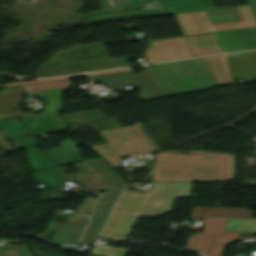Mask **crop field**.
Returning <instances> with one entry per match:
<instances>
[{
	"mask_svg": "<svg viewBox=\"0 0 256 256\" xmlns=\"http://www.w3.org/2000/svg\"><path fill=\"white\" fill-rule=\"evenodd\" d=\"M233 156L179 152L160 154L151 174L152 180H232Z\"/></svg>",
	"mask_w": 256,
	"mask_h": 256,
	"instance_id": "1",
	"label": "crop field"
},
{
	"mask_svg": "<svg viewBox=\"0 0 256 256\" xmlns=\"http://www.w3.org/2000/svg\"><path fill=\"white\" fill-rule=\"evenodd\" d=\"M73 165L80 171L74 173L75 180L81 182L82 178L86 179L83 187L97 191L106 190L81 241L82 244L94 243L112 205L121 192L124 179L117 175L101 158L86 160Z\"/></svg>",
	"mask_w": 256,
	"mask_h": 256,
	"instance_id": "2",
	"label": "crop field"
},
{
	"mask_svg": "<svg viewBox=\"0 0 256 256\" xmlns=\"http://www.w3.org/2000/svg\"><path fill=\"white\" fill-rule=\"evenodd\" d=\"M165 97L216 86L203 58L149 67Z\"/></svg>",
	"mask_w": 256,
	"mask_h": 256,
	"instance_id": "3",
	"label": "crop field"
},
{
	"mask_svg": "<svg viewBox=\"0 0 256 256\" xmlns=\"http://www.w3.org/2000/svg\"><path fill=\"white\" fill-rule=\"evenodd\" d=\"M175 15L184 36L256 26L248 5Z\"/></svg>",
	"mask_w": 256,
	"mask_h": 256,
	"instance_id": "4",
	"label": "crop field"
},
{
	"mask_svg": "<svg viewBox=\"0 0 256 256\" xmlns=\"http://www.w3.org/2000/svg\"><path fill=\"white\" fill-rule=\"evenodd\" d=\"M191 184L189 182H153L151 195L145 193L124 191L114 212L157 216L165 214L173 198L189 197ZM158 199H163L159 208L155 207Z\"/></svg>",
	"mask_w": 256,
	"mask_h": 256,
	"instance_id": "5",
	"label": "crop field"
},
{
	"mask_svg": "<svg viewBox=\"0 0 256 256\" xmlns=\"http://www.w3.org/2000/svg\"><path fill=\"white\" fill-rule=\"evenodd\" d=\"M223 52L214 33L151 41L148 63Z\"/></svg>",
	"mask_w": 256,
	"mask_h": 256,
	"instance_id": "6",
	"label": "crop field"
},
{
	"mask_svg": "<svg viewBox=\"0 0 256 256\" xmlns=\"http://www.w3.org/2000/svg\"><path fill=\"white\" fill-rule=\"evenodd\" d=\"M108 144L93 146L114 168L121 167L119 156L136 155L155 150L138 125L98 131Z\"/></svg>",
	"mask_w": 256,
	"mask_h": 256,
	"instance_id": "7",
	"label": "crop field"
},
{
	"mask_svg": "<svg viewBox=\"0 0 256 256\" xmlns=\"http://www.w3.org/2000/svg\"><path fill=\"white\" fill-rule=\"evenodd\" d=\"M227 219L204 218L205 225L203 233H195L190 237L187 250L221 256L224 246L239 241L241 232L224 231Z\"/></svg>",
	"mask_w": 256,
	"mask_h": 256,
	"instance_id": "8",
	"label": "crop field"
},
{
	"mask_svg": "<svg viewBox=\"0 0 256 256\" xmlns=\"http://www.w3.org/2000/svg\"><path fill=\"white\" fill-rule=\"evenodd\" d=\"M90 77L93 81L106 84L110 90L125 86H137L141 92L140 97L142 101L163 97L158 85L154 81L155 79L149 73L148 69L142 70V73L139 74L127 71Z\"/></svg>",
	"mask_w": 256,
	"mask_h": 256,
	"instance_id": "9",
	"label": "crop field"
},
{
	"mask_svg": "<svg viewBox=\"0 0 256 256\" xmlns=\"http://www.w3.org/2000/svg\"><path fill=\"white\" fill-rule=\"evenodd\" d=\"M0 129L17 149L24 148L27 151L32 171L57 165L34 147L37 145L34 137L27 140L22 139L29 132L16 119L0 121Z\"/></svg>",
	"mask_w": 256,
	"mask_h": 256,
	"instance_id": "10",
	"label": "crop field"
},
{
	"mask_svg": "<svg viewBox=\"0 0 256 256\" xmlns=\"http://www.w3.org/2000/svg\"><path fill=\"white\" fill-rule=\"evenodd\" d=\"M58 62L60 66L49 68L47 71L39 73V77L116 67L110 57L75 62L71 55H65L59 56Z\"/></svg>",
	"mask_w": 256,
	"mask_h": 256,
	"instance_id": "11",
	"label": "crop field"
},
{
	"mask_svg": "<svg viewBox=\"0 0 256 256\" xmlns=\"http://www.w3.org/2000/svg\"><path fill=\"white\" fill-rule=\"evenodd\" d=\"M157 8H159L158 4L154 3V4H146V5H139V6H132V7L102 10V11H94V12H90L85 17V19L88 24H93V23H102V22H109V21H117V20H126V19L163 15L161 10L157 9ZM149 9H157V10H149ZM142 10H149V11H142ZM134 11H142V12L105 16V17H102V19H100L99 17H96V16L126 13V12H134ZM92 17H96V18H92Z\"/></svg>",
	"mask_w": 256,
	"mask_h": 256,
	"instance_id": "12",
	"label": "crop field"
},
{
	"mask_svg": "<svg viewBox=\"0 0 256 256\" xmlns=\"http://www.w3.org/2000/svg\"><path fill=\"white\" fill-rule=\"evenodd\" d=\"M215 34L224 52L256 48V28Z\"/></svg>",
	"mask_w": 256,
	"mask_h": 256,
	"instance_id": "13",
	"label": "crop field"
},
{
	"mask_svg": "<svg viewBox=\"0 0 256 256\" xmlns=\"http://www.w3.org/2000/svg\"><path fill=\"white\" fill-rule=\"evenodd\" d=\"M86 224L51 220L46 231L55 233L50 242L77 244Z\"/></svg>",
	"mask_w": 256,
	"mask_h": 256,
	"instance_id": "14",
	"label": "crop field"
},
{
	"mask_svg": "<svg viewBox=\"0 0 256 256\" xmlns=\"http://www.w3.org/2000/svg\"><path fill=\"white\" fill-rule=\"evenodd\" d=\"M28 94V91L24 88L23 85L8 87L6 89L0 90V111L15 109L18 108L22 98L20 96ZM43 114V113H39ZM39 114H31V115H39ZM26 115L21 110L10 111L0 113V120L4 119H12L23 116H31Z\"/></svg>",
	"mask_w": 256,
	"mask_h": 256,
	"instance_id": "15",
	"label": "crop field"
},
{
	"mask_svg": "<svg viewBox=\"0 0 256 256\" xmlns=\"http://www.w3.org/2000/svg\"><path fill=\"white\" fill-rule=\"evenodd\" d=\"M234 79L256 80V51L228 55Z\"/></svg>",
	"mask_w": 256,
	"mask_h": 256,
	"instance_id": "16",
	"label": "crop field"
},
{
	"mask_svg": "<svg viewBox=\"0 0 256 256\" xmlns=\"http://www.w3.org/2000/svg\"><path fill=\"white\" fill-rule=\"evenodd\" d=\"M138 215L113 213L100 238L119 240L123 239L133 226Z\"/></svg>",
	"mask_w": 256,
	"mask_h": 256,
	"instance_id": "17",
	"label": "crop field"
},
{
	"mask_svg": "<svg viewBox=\"0 0 256 256\" xmlns=\"http://www.w3.org/2000/svg\"><path fill=\"white\" fill-rule=\"evenodd\" d=\"M59 114H60V112L53 113V114H47V115H40V116L24 117L21 119L24 121L22 124L33 135H35L38 133H49V132L66 130L67 125L58 117ZM30 119L32 120V122L29 121ZM46 119H48L53 126H51ZM56 121L59 124H57ZM36 126H38L42 132ZM54 127L57 130H55Z\"/></svg>",
	"mask_w": 256,
	"mask_h": 256,
	"instance_id": "18",
	"label": "crop field"
},
{
	"mask_svg": "<svg viewBox=\"0 0 256 256\" xmlns=\"http://www.w3.org/2000/svg\"><path fill=\"white\" fill-rule=\"evenodd\" d=\"M159 1L166 14L215 8L211 0H159Z\"/></svg>",
	"mask_w": 256,
	"mask_h": 256,
	"instance_id": "19",
	"label": "crop field"
},
{
	"mask_svg": "<svg viewBox=\"0 0 256 256\" xmlns=\"http://www.w3.org/2000/svg\"><path fill=\"white\" fill-rule=\"evenodd\" d=\"M59 145L60 147L44 151V153L59 165L83 160L80 158L79 150L71 139L67 138L63 142L59 143Z\"/></svg>",
	"mask_w": 256,
	"mask_h": 256,
	"instance_id": "20",
	"label": "crop field"
},
{
	"mask_svg": "<svg viewBox=\"0 0 256 256\" xmlns=\"http://www.w3.org/2000/svg\"><path fill=\"white\" fill-rule=\"evenodd\" d=\"M253 212L247 209L223 208V207H194L191 218L201 216H217L231 218H251Z\"/></svg>",
	"mask_w": 256,
	"mask_h": 256,
	"instance_id": "21",
	"label": "crop field"
},
{
	"mask_svg": "<svg viewBox=\"0 0 256 256\" xmlns=\"http://www.w3.org/2000/svg\"><path fill=\"white\" fill-rule=\"evenodd\" d=\"M205 60L214 76L217 86L232 82L225 55L207 57Z\"/></svg>",
	"mask_w": 256,
	"mask_h": 256,
	"instance_id": "22",
	"label": "crop field"
},
{
	"mask_svg": "<svg viewBox=\"0 0 256 256\" xmlns=\"http://www.w3.org/2000/svg\"><path fill=\"white\" fill-rule=\"evenodd\" d=\"M225 230L242 231V234H255L256 220L228 219Z\"/></svg>",
	"mask_w": 256,
	"mask_h": 256,
	"instance_id": "23",
	"label": "crop field"
},
{
	"mask_svg": "<svg viewBox=\"0 0 256 256\" xmlns=\"http://www.w3.org/2000/svg\"><path fill=\"white\" fill-rule=\"evenodd\" d=\"M0 256H31L25 245L0 246Z\"/></svg>",
	"mask_w": 256,
	"mask_h": 256,
	"instance_id": "24",
	"label": "crop field"
},
{
	"mask_svg": "<svg viewBox=\"0 0 256 256\" xmlns=\"http://www.w3.org/2000/svg\"><path fill=\"white\" fill-rule=\"evenodd\" d=\"M106 9L131 5L154 3L156 0H102Z\"/></svg>",
	"mask_w": 256,
	"mask_h": 256,
	"instance_id": "25",
	"label": "crop field"
},
{
	"mask_svg": "<svg viewBox=\"0 0 256 256\" xmlns=\"http://www.w3.org/2000/svg\"><path fill=\"white\" fill-rule=\"evenodd\" d=\"M127 252L128 251L126 250L109 248L104 244H102V245L94 246L91 251V254L98 255V256H125Z\"/></svg>",
	"mask_w": 256,
	"mask_h": 256,
	"instance_id": "26",
	"label": "crop field"
},
{
	"mask_svg": "<svg viewBox=\"0 0 256 256\" xmlns=\"http://www.w3.org/2000/svg\"><path fill=\"white\" fill-rule=\"evenodd\" d=\"M26 86L29 90L52 89V88H59V87H67V86H70V83H69V80H65V81L29 84Z\"/></svg>",
	"mask_w": 256,
	"mask_h": 256,
	"instance_id": "27",
	"label": "crop field"
},
{
	"mask_svg": "<svg viewBox=\"0 0 256 256\" xmlns=\"http://www.w3.org/2000/svg\"><path fill=\"white\" fill-rule=\"evenodd\" d=\"M82 76H85V75H77V76H69V77H61V78L45 79V80L27 81V82H24V84H28V83H36V82H44V81H52V80H61V79L74 78V77H82Z\"/></svg>",
	"mask_w": 256,
	"mask_h": 256,
	"instance_id": "28",
	"label": "crop field"
},
{
	"mask_svg": "<svg viewBox=\"0 0 256 256\" xmlns=\"http://www.w3.org/2000/svg\"><path fill=\"white\" fill-rule=\"evenodd\" d=\"M112 60H113L114 63L117 65V67L130 65L129 62H128V61H125V60L116 59V58H112Z\"/></svg>",
	"mask_w": 256,
	"mask_h": 256,
	"instance_id": "29",
	"label": "crop field"
},
{
	"mask_svg": "<svg viewBox=\"0 0 256 256\" xmlns=\"http://www.w3.org/2000/svg\"><path fill=\"white\" fill-rule=\"evenodd\" d=\"M131 70L130 68H125V69H118V70H111V71H104V72H97V73H90L89 75H94V74H102V73H110V72H119V71H127Z\"/></svg>",
	"mask_w": 256,
	"mask_h": 256,
	"instance_id": "30",
	"label": "crop field"
},
{
	"mask_svg": "<svg viewBox=\"0 0 256 256\" xmlns=\"http://www.w3.org/2000/svg\"><path fill=\"white\" fill-rule=\"evenodd\" d=\"M251 2H252V5H253V7H254V10H255V12H256V0H251Z\"/></svg>",
	"mask_w": 256,
	"mask_h": 256,
	"instance_id": "31",
	"label": "crop field"
},
{
	"mask_svg": "<svg viewBox=\"0 0 256 256\" xmlns=\"http://www.w3.org/2000/svg\"><path fill=\"white\" fill-rule=\"evenodd\" d=\"M16 84H21V83H20V82H17V83H9V84H5V86L16 85Z\"/></svg>",
	"mask_w": 256,
	"mask_h": 256,
	"instance_id": "32",
	"label": "crop field"
},
{
	"mask_svg": "<svg viewBox=\"0 0 256 256\" xmlns=\"http://www.w3.org/2000/svg\"><path fill=\"white\" fill-rule=\"evenodd\" d=\"M160 202H161V200L158 201V203H157V205H156L157 207L159 206Z\"/></svg>",
	"mask_w": 256,
	"mask_h": 256,
	"instance_id": "33",
	"label": "crop field"
}]
</instances>
